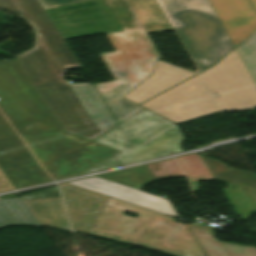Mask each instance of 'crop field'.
I'll list each match as a JSON object with an SVG mask.
<instances>
[{
    "mask_svg": "<svg viewBox=\"0 0 256 256\" xmlns=\"http://www.w3.org/2000/svg\"><path fill=\"white\" fill-rule=\"evenodd\" d=\"M0 8L25 17L35 27L34 48L16 59L63 130L91 140L116 125L93 84L64 80L68 69L81 65L38 0H0Z\"/></svg>",
    "mask_w": 256,
    "mask_h": 256,
    "instance_id": "obj_1",
    "label": "crop field"
},
{
    "mask_svg": "<svg viewBox=\"0 0 256 256\" xmlns=\"http://www.w3.org/2000/svg\"><path fill=\"white\" fill-rule=\"evenodd\" d=\"M124 32L107 34L116 52L99 54L116 81L94 84L119 122L142 110L121 97L151 75L159 52L125 0H104Z\"/></svg>",
    "mask_w": 256,
    "mask_h": 256,
    "instance_id": "obj_2",
    "label": "crop field"
},
{
    "mask_svg": "<svg viewBox=\"0 0 256 256\" xmlns=\"http://www.w3.org/2000/svg\"><path fill=\"white\" fill-rule=\"evenodd\" d=\"M182 140L176 125L144 110L93 141L120 152L134 145L117 155L121 165H124L182 151L178 148ZM118 165L119 163L113 155L80 174Z\"/></svg>",
    "mask_w": 256,
    "mask_h": 256,
    "instance_id": "obj_3",
    "label": "crop field"
},
{
    "mask_svg": "<svg viewBox=\"0 0 256 256\" xmlns=\"http://www.w3.org/2000/svg\"><path fill=\"white\" fill-rule=\"evenodd\" d=\"M199 68H209L234 46L209 0H158Z\"/></svg>",
    "mask_w": 256,
    "mask_h": 256,
    "instance_id": "obj_4",
    "label": "crop field"
},
{
    "mask_svg": "<svg viewBox=\"0 0 256 256\" xmlns=\"http://www.w3.org/2000/svg\"><path fill=\"white\" fill-rule=\"evenodd\" d=\"M184 176L173 159L67 182L169 216H177L167 200L138 191L156 179Z\"/></svg>",
    "mask_w": 256,
    "mask_h": 256,
    "instance_id": "obj_5",
    "label": "crop field"
},
{
    "mask_svg": "<svg viewBox=\"0 0 256 256\" xmlns=\"http://www.w3.org/2000/svg\"><path fill=\"white\" fill-rule=\"evenodd\" d=\"M199 74L219 111H240L256 106V86L235 49Z\"/></svg>",
    "mask_w": 256,
    "mask_h": 256,
    "instance_id": "obj_6",
    "label": "crop field"
},
{
    "mask_svg": "<svg viewBox=\"0 0 256 256\" xmlns=\"http://www.w3.org/2000/svg\"><path fill=\"white\" fill-rule=\"evenodd\" d=\"M141 106L176 124L217 111L198 76L169 89Z\"/></svg>",
    "mask_w": 256,
    "mask_h": 256,
    "instance_id": "obj_7",
    "label": "crop field"
},
{
    "mask_svg": "<svg viewBox=\"0 0 256 256\" xmlns=\"http://www.w3.org/2000/svg\"><path fill=\"white\" fill-rule=\"evenodd\" d=\"M125 212L138 217L126 216ZM155 215L156 212L109 197L89 233L134 245Z\"/></svg>",
    "mask_w": 256,
    "mask_h": 256,
    "instance_id": "obj_8",
    "label": "crop field"
},
{
    "mask_svg": "<svg viewBox=\"0 0 256 256\" xmlns=\"http://www.w3.org/2000/svg\"><path fill=\"white\" fill-rule=\"evenodd\" d=\"M136 245L171 256H206L188 227L159 213Z\"/></svg>",
    "mask_w": 256,
    "mask_h": 256,
    "instance_id": "obj_9",
    "label": "crop field"
},
{
    "mask_svg": "<svg viewBox=\"0 0 256 256\" xmlns=\"http://www.w3.org/2000/svg\"><path fill=\"white\" fill-rule=\"evenodd\" d=\"M59 185L67 206L72 228L88 233L108 197L66 183Z\"/></svg>",
    "mask_w": 256,
    "mask_h": 256,
    "instance_id": "obj_10",
    "label": "crop field"
},
{
    "mask_svg": "<svg viewBox=\"0 0 256 256\" xmlns=\"http://www.w3.org/2000/svg\"><path fill=\"white\" fill-rule=\"evenodd\" d=\"M234 46L256 29V15L247 0H210Z\"/></svg>",
    "mask_w": 256,
    "mask_h": 256,
    "instance_id": "obj_11",
    "label": "crop field"
},
{
    "mask_svg": "<svg viewBox=\"0 0 256 256\" xmlns=\"http://www.w3.org/2000/svg\"><path fill=\"white\" fill-rule=\"evenodd\" d=\"M195 73L157 60L152 75L123 97L139 104L187 79Z\"/></svg>",
    "mask_w": 256,
    "mask_h": 256,
    "instance_id": "obj_12",
    "label": "crop field"
},
{
    "mask_svg": "<svg viewBox=\"0 0 256 256\" xmlns=\"http://www.w3.org/2000/svg\"><path fill=\"white\" fill-rule=\"evenodd\" d=\"M23 199L42 225L70 230L57 186L28 194Z\"/></svg>",
    "mask_w": 256,
    "mask_h": 256,
    "instance_id": "obj_13",
    "label": "crop field"
},
{
    "mask_svg": "<svg viewBox=\"0 0 256 256\" xmlns=\"http://www.w3.org/2000/svg\"><path fill=\"white\" fill-rule=\"evenodd\" d=\"M188 227L207 256H256V248L219 242L212 229Z\"/></svg>",
    "mask_w": 256,
    "mask_h": 256,
    "instance_id": "obj_14",
    "label": "crop field"
},
{
    "mask_svg": "<svg viewBox=\"0 0 256 256\" xmlns=\"http://www.w3.org/2000/svg\"><path fill=\"white\" fill-rule=\"evenodd\" d=\"M140 25L147 33L171 30L155 0H127Z\"/></svg>",
    "mask_w": 256,
    "mask_h": 256,
    "instance_id": "obj_15",
    "label": "crop field"
},
{
    "mask_svg": "<svg viewBox=\"0 0 256 256\" xmlns=\"http://www.w3.org/2000/svg\"><path fill=\"white\" fill-rule=\"evenodd\" d=\"M10 225L42 226L23 199L0 200V228Z\"/></svg>",
    "mask_w": 256,
    "mask_h": 256,
    "instance_id": "obj_16",
    "label": "crop field"
},
{
    "mask_svg": "<svg viewBox=\"0 0 256 256\" xmlns=\"http://www.w3.org/2000/svg\"><path fill=\"white\" fill-rule=\"evenodd\" d=\"M209 170L216 180L221 181H239L245 182L247 185L256 186V174L230 169L219 161L202 157Z\"/></svg>",
    "mask_w": 256,
    "mask_h": 256,
    "instance_id": "obj_17",
    "label": "crop field"
},
{
    "mask_svg": "<svg viewBox=\"0 0 256 256\" xmlns=\"http://www.w3.org/2000/svg\"><path fill=\"white\" fill-rule=\"evenodd\" d=\"M177 161L191 181L192 192H199L196 181L215 180L199 154L180 157Z\"/></svg>",
    "mask_w": 256,
    "mask_h": 256,
    "instance_id": "obj_18",
    "label": "crop field"
},
{
    "mask_svg": "<svg viewBox=\"0 0 256 256\" xmlns=\"http://www.w3.org/2000/svg\"><path fill=\"white\" fill-rule=\"evenodd\" d=\"M235 49L256 84V31Z\"/></svg>",
    "mask_w": 256,
    "mask_h": 256,
    "instance_id": "obj_19",
    "label": "crop field"
},
{
    "mask_svg": "<svg viewBox=\"0 0 256 256\" xmlns=\"http://www.w3.org/2000/svg\"><path fill=\"white\" fill-rule=\"evenodd\" d=\"M40 1L42 2L45 9H47V8L79 3V2L89 1V0H40Z\"/></svg>",
    "mask_w": 256,
    "mask_h": 256,
    "instance_id": "obj_20",
    "label": "crop field"
},
{
    "mask_svg": "<svg viewBox=\"0 0 256 256\" xmlns=\"http://www.w3.org/2000/svg\"><path fill=\"white\" fill-rule=\"evenodd\" d=\"M13 189L7 177L0 170V191L11 190Z\"/></svg>",
    "mask_w": 256,
    "mask_h": 256,
    "instance_id": "obj_21",
    "label": "crop field"
},
{
    "mask_svg": "<svg viewBox=\"0 0 256 256\" xmlns=\"http://www.w3.org/2000/svg\"><path fill=\"white\" fill-rule=\"evenodd\" d=\"M252 5L254 6L255 10H256V0H250Z\"/></svg>",
    "mask_w": 256,
    "mask_h": 256,
    "instance_id": "obj_22",
    "label": "crop field"
},
{
    "mask_svg": "<svg viewBox=\"0 0 256 256\" xmlns=\"http://www.w3.org/2000/svg\"><path fill=\"white\" fill-rule=\"evenodd\" d=\"M1 199V198H0Z\"/></svg>",
    "mask_w": 256,
    "mask_h": 256,
    "instance_id": "obj_23",
    "label": "crop field"
}]
</instances>
